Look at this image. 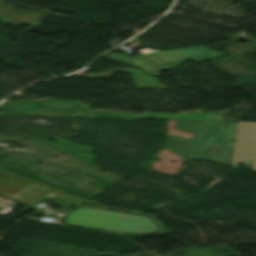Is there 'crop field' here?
<instances>
[{"label":"crop field","mask_w":256,"mask_h":256,"mask_svg":"<svg viewBox=\"0 0 256 256\" xmlns=\"http://www.w3.org/2000/svg\"><path fill=\"white\" fill-rule=\"evenodd\" d=\"M222 55L226 54L204 46H198L171 51L160 50L136 59H132L119 53H115V55L111 53L107 55L106 58L126 64L131 63L133 64L132 66L140 68L145 74L159 77L160 70L174 69L189 59L199 63Z\"/></svg>","instance_id":"crop-field-3"},{"label":"crop field","mask_w":256,"mask_h":256,"mask_svg":"<svg viewBox=\"0 0 256 256\" xmlns=\"http://www.w3.org/2000/svg\"><path fill=\"white\" fill-rule=\"evenodd\" d=\"M234 128L235 122L176 120L175 130L195 133V138L167 135L166 149L182 159L231 166Z\"/></svg>","instance_id":"crop-field-1"},{"label":"crop field","mask_w":256,"mask_h":256,"mask_svg":"<svg viewBox=\"0 0 256 256\" xmlns=\"http://www.w3.org/2000/svg\"><path fill=\"white\" fill-rule=\"evenodd\" d=\"M252 165L256 172V123L236 122L232 167Z\"/></svg>","instance_id":"crop-field-5"},{"label":"crop field","mask_w":256,"mask_h":256,"mask_svg":"<svg viewBox=\"0 0 256 256\" xmlns=\"http://www.w3.org/2000/svg\"><path fill=\"white\" fill-rule=\"evenodd\" d=\"M0 196L35 206L42 200L66 207L78 203L100 205L61 189L0 168Z\"/></svg>","instance_id":"crop-field-2"},{"label":"crop field","mask_w":256,"mask_h":256,"mask_svg":"<svg viewBox=\"0 0 256 256\" xmlns=\"http://www.w3.org/2000/svg\"><path fill=\"white\" fill-rule=\"evenodd\" d=\"M64 221L70 225L126 233H145L155 230V224L147 217L87 208H78L70 212Z\"/></svg>","instance_id":"crop-field-4"},{"label":"crop field","mask_w":256,"mask_h":256,"mask_svg":"<svg viewBox=\"0 0 256 256\" xmlns=\"http://www.w3.org/2000/svg\"><path fill=\"white\" fill-rule=\"evenodd\" d=\"M134 256H162V255L150 253V252H139V253L135 254Z\"/></svg>","instance_id":"crop-field-6"}]
</instances>
